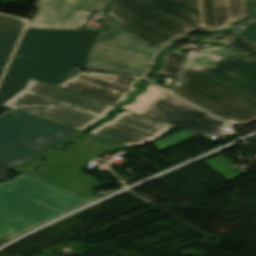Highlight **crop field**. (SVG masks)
<instances>
[{
  "mask_svg": "<svg viewBox=\"0 0 256 256\" xmlns=\"http://www.w3.org/2000/svg\"><path fill=\"white\" fill-rule=\"evenodd\" d=\"M77 0H39L27 27L81 28L91 13L71 11Z\"/></svg>",
  "mask_w": 256,
  "mask_h": 256,
  "instance_id": "crop-field-12",
  "label": "crop field"
},
{
  "mask_svg": "<svg viewBox=\"0 0 256 256\" xmlns=\"http://www.w3.org/2000/svg\"><path fill=\"white\" fill-rule=\"evenodd\" d=\"M82 132H75L73 134H71L70 136L66 137L65 139L61 140L60 142L56 143L55 145L51 146L50 148H48L47 150L43 151L42 153H40L39 155L35 156L34 158L30 159L29 161L25 162L24 164L18 166L17 168H15L14 170L18 171V172H21V171H25V170H28L40 163H42L41 159H40V156L43 155V154H46V153H49L51 151H53L54 147L57 146L58 144L68 140V139H71V138H75L77 136H79ZM69 141V140H68ZM31 170V169H30Z\"/></svg>",
  "mask_w": 256,
  "mask_h": 256,
  "instance_id": "crop-field-22",
  "label": "crop field"
},
{
  "mask_svg": "<svg viewBox=\"0 0 256 256\" xmlns=\"http://www.w3.org/2000/svg\"><path fill=\"white\" fill-rule=\"evenodd\" d=\"M174 93L232 124L256 119V66L233 53L182 76Z\"/></svg>",
  "mask_w": 256,
  "mask_h": 256,
  "instance_id": "crop-field-2",
  "label": "crop field"
},
{
  "mask_svg": "<svg viewBox=\"0 0 256 256\" xmlns=\"http://www.w3.org/2000/svg\"><path fill=\"white\" fill-rule=\"evenodd\" d=\"M75 131L13 110L0 117V165L13 169Z\"/></svg>",
  "mask_w": 256,
  "mask_h": 256,
  "instance_id": "crop-field-6",
  "label": "crop field"
},
{
  "mask_svg": "<svg viewBox=\"0 0 256 256\" xmlns=\"http://www.w3.org/2000/svg\"><path fill=\"white\" fill-rule=\"evenodd\" d=\"M75 144L71 147L74 149H78L93 155H101L106 152H110L112 150H119V149H125L126 147L108 142L106 140L88 135L84 133V135L75 140L72 141Z\"/></svg>",
  "mask_w": 256,
  "mask_h": 256,
  "instance_id": "crop-field-16",
  "label": "crop field"
},
{
  "mask_svg": "<svg viewBox=\"0 0 256 256\" xmlns=\"http://www.w3.org/2000/svg\"><path fill=\"white\" fill-rule=\"evenodd\" d=\"M254 22H256V19L248 20V21H246V22H244V23H241V24H239V25H236V30H235V31H237V30H239V29H242V28H244V27H246V26H248V25H250V24H252V23H254ZM235 31H234V32H235Z\"/></svg>",
  "mask_w": 256,
  "mask_h": 256,
  "instance_id": "crop-field-26",
  "label": "crop field"
},
{
  "mask_svg": "<svg viewBox=\"0 0 256 256\" xmlns=\"http://www.w3.org/2000/svg\"><path fill=\"white\" fill-rule=\"evenodd\" d=\"M208 46H209L208 49H206V50H204V51H202V52H200V53H198L194 56L212 64V63L218 61L219 59H221V58H223V57H225V56L234 52V51L228 50L227 48H225L224 46H222L220 44L208 45ZM210 64H208V65H210ZM200 65H202V64H200ZM208 65H206V66H208ZM202 66H204V65H202Z\"/></svg>",
  "mask_w": 256,
  "mask_h": 256,
  "instance_id": "crop-field-20",
  "label": "crop field"
},
{
  "mask_svg": "<svg viewBox=\"0 0 256 256\" xmlns=\"http://www.w3.org/2000/svg\"><path fill=\"white\" fill-rule=\"evenodd\" d=\"M158 50L106 24L96 39L86 70L142 75Z\"/></svg>",
  "mask_w": 256,
  "mask_h": 256,
  "instance_id": "crop-field-8",
  "label": "crop field"
},
{
  "mask_svg": "<svg viewBox=\"0 0 256 256\" xmlns=\"http://www.w3.org/2000/svg\"><path fill=\"white\" fill-rule=\"evenodd\" d=\"M186 55L187 53L183 55L175 50L169 52L168 54L162 56V59H164L165 61L162 64L160 70L153 73L177 78Z\"/></svg>",
  "mask_w": 256,
  "mask_h": 256,
  "instance_id": "crop-field-18",
  "label": "crop field"
},
{
  "mask_svg": "<svg viewBox=\"0 0 256 256\" xmlns=\"http://www.w3.org/2000/svg\"><path fill=\"white\" fill-rule=\"evenodd\" d=\"M233 34L256 44V23Z\"/></svg>",
  "mask_w": 256,
  "mask_h": 256,
  "instance_id": "crop-field-24",
  "label": "crop field"
},
{
  "mask_svg": "<svg viewBox=\"0 0 256 256\" xmlns=\"http://www.w3.org/2000/svg\"><path fill=\"white\" fill-rule=\"evenodd\" d=\"M19 111L82 131L115 109L29 79L24 91L4 103Z\"/></svg>",
  "mask_w": 256,
  "mask_h": 256,
  "instance_id": "crop-field-4",
  "label": "crop field"
},
{
  "mask_svg": "<svg viewBox=\"0 0 256 256\" xmlns=\"http://www.w3.org/2000/svg\"><path fill=\"white\" fill-rule=\"evenodd\" d=\"M140 78L84 72L56 88L115 106L135 90L133 85Z\"/></svg>",
  "mask_w": 256,
  "mask_h": 256,
  "instance_id": "crop-field-11",
  "label": "crop field"
},
{
  "mask_svg": "<svg viewBox=\"0 0 256 256\" xmlns=\"http://www.w3.org/2000/svg\"><path fill=\"white\" fill-rule=\"evenodd\" d=\"M198 136L195 133H192L190 131L184 130L182 132H179L177 134H174L172 136L166 137L164 139H161L159 141L154 142V144L158 147V149L161 151L163 149H166L168 147H171L173 145L179 144L181 142H184L186 140H189L193 137Z\"/></svg>",
  "mask_w": 256,
  "mask_h": 256,
  "instance_id": "crop-field-21",
  "label": "crop field"
},
{
  "mask_svg": "<svg viewBox=\"0 0 256 256\" xmlns=\"http://www.w3.org/2000/svg\"><path fill=\"white\" fill-rule=\"evenodd\" d=\"M44 158L48 162L24 174L78 196L104 185L97 182V178L79 172L86 165L85 162L97 157L70 149L67 152L57 151Z\"/></svg>",
  "mask_w": 256,
  "mask_h": 256,
  "instance_id": "crop-field-9",
  "label": "crop field"
},
{
  "mask_svg": "<svg viewBox=\"0 0 256 256\" xmlns=\"http://www.w3.org/2000/svg\"><path fill=\"white\" fill-rule=\"evenodd\" d=\"M172 127L125 111L114 116L113 120L107 121L88 132V134L126 147H132L146 144Z\"/></svg>",
  "mask_w": 256,
  "mask_h": 256,
  "instance_id": "crop-field-10",
  "label": "crop field"
},
{
  "mask_svg": "<svg viewBox=\"0 0 256 256\" xmlns=\"http://www.w3.org/2000/svg\"><path fill=\"white\" fill-rule=\"evenodd\" d=\"M206 31L222 29L246 15L252 14L247 0H203Z\"/></svg>",
  "mask_w": 256,
  "mask_h": 256,
  "instance_id": "crop-field-13",
  "label": "crop field"
},
{
  "mask_svg": "<svg viewBox=\"0 0 256 256\" xmlns=\"http://www.w3.org/2000/svg\"><path fill=\"white\" fill-rule=\"evenodd\" d=\"M89 202L23 174L0 183V212L38 224Z\"/></svg>",
  "mask_w": 256,
  "mask_h": 256,
  "instance_id": "crop-field-5",
  "label": "crop field"
},
{
  "mask_svg": "<svg viewBox=\"0 0 256 256\" xmlns=\"http://www.w3.org/2000/svg\"><path fill=\"white\" fill-rule=\"evenodd\" d=\"M34 225L22 218L0 213V237H12Z\"/></svg>",
  "mask_w": 256,
  "mask_h": 256,
  "instance_id": "crop-field-17",
  "label": "crop field"
},
{
  "mask_svg": "<svg viewBox=\"0 0 256 256\" xmlns=\"http://www.w3.org/2000/svg\"><path fill=\"white\" fill-rule=\"evenodd\" d=\"M106 14L158 48L205 26L202 0H113Z\"/></svg>",
  "mask_w": 256,
  "mask_h": 256,
  "instance_id": "crop-field-3",
  "label": "crop field"
},
{
  "mask_svg": "<svg viewBox=\"0 0 256 256\" xmlns=\"http://www.w3.org/2000/svg\"><path fill=\"white\" fill-rule=\"evenodd\" d=\"M121 108L209 138L229 126L154 84H147L145 93Z\"/></svg>",
  "mask_w": 256,
  "mask_h": 256,
  "instance_id": "crop-field-7",
  "label": "crop field"
},
{
  "mask_svg": "<svg viewBox=\"0 0 256 256\" xmlns=\"http://www.w3.org/2000/svg\"><path fill=\"white\" fill-rule=\"evenodd\" d=\"M97 32L27 29L0 86V109L29 78L55 87L67 81L71 65L85 69Z\"/></svg>",
  "mask_w": 256,
  "mask_h": 256,
  "instance_id": "crop-field-1",
  "label": "crop field"
},
{
  "mask_svg": "<svg viewBox=\"0 0 256 256\" xmlns=\"http://www.w3.org/2000/svg\"><path fill=\"white\" fill-rule=\"evenodd\" d=\"M203 162L229 181L242 175L238 171L233 169L232 167L235 165L232 164L229 160H227L222 155L203 161Z\"/></svg>",
  "mask_w": 256,
  "mask_h": 256,
  "instance_id": "crop-field-19",
  "label": "crop field"
},
{
  "mask_svg": "<svg viewBox=\"0 0 256 256\" xmlns=\"http://www.w3.org/2000/svg\"><path fill=\"white\" fill-rule=\"evenodd\" d=\"M206 43L217 42L237 50L246 60L256 63V45L230 34H212L207 36Z\"/></svg>",
  "mask_w": 256,
  "mask_h": 256,
  "instance_id": "crop-field-15",
  "label": "crop field"
},
{
  "mask_svg": "<svg viewBox=\"0 0 256 256\" xmlns=\"http://www.w3.org/2000/svg\"><path fill=\"white\" fill-rule=\"evenodd\" d=\"M24 26L19 19L0 16V77Z\"/></svg>",
  "mask_w": 256,
  "mask_h": 256,
  "instance_id": "crop-field-14",
  "label": "crop field"
},
{
  "mask_svg": "<svg viewBox=\"0 0 256 256\" xmlns=\"http://www.w3.org/2000/svg\"><path fill=\"white\" fill-rule=\"evenodd\" d=\"M10 169L0 166V180H6Z\"/></svg>",
  "mask_w": 256,
  "mask_h": 256,
  "instance_id": "crop-field-25",
  "label": "crop field"
},
{
  "mask_svg": "<svg viewBox=\"0 0 256 256\" xmlns=\"http://www.w3.org/2000/svg\"><path fill=\"white\" fill-rule=\"evenodd\" d=\"M110 0H80L75 10L102 11L104 12Z\"/></svg>",
  "mask_w": 256,
  "mask_h": 256,
  "instance_id": "crop-field-23",
  "label": "crop field"
},
{
  "mask_svg": "<svg viewBox=\"0 0 256 256\" xmlns=\"http://www.w3.org/2000/svg\"><path fill=\"white\" fill-rule=\"evenodd\" d=\"M7 240H9V239H1L0 240V245L3 244L4 242H6Z\"/></svg>",
  "mask_w": 256,
  "mask_h": 256,
  "instance_id": "crop-field-27",
  "label": "crop field"
}]
</instances>
